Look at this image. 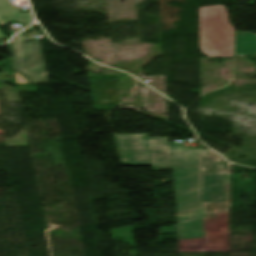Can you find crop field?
Instances as JSON below:
<instances>
[{"mask_svg":"<svg viewBox=\"0 0 256 256\" xmlns=\"http://www.w3.org/2000/svg\"><path fill=\"white\" fill-rule=\"evenodd\" d=\"M16 80L17 83H26L25 79H23L21 76H19L18 74L16 75Z\"/></svg>","mask_w":256,"mask_h":256,"instance_id":"obj_9","label":"crop field"},{"mask_svg":"<svg viewBox=\"0 0 256 256\" xmlns=\"http://www.w3.org/2000/svg\"><path fill=\"white\" fill-rule=\"evenodd\" d=\"M3 37H5V36L3 35L2 29L0 28V39L3 38Z\"/></svg>","mask_w":256,"mask_h":256,"instance_id":"obj_10","label":"crop field"},{"mask_svg":"<svg viewBox=\"0 0 256 256\" xmlns=\"http://www.w3.org/2000/svg\"><path fill=\"white\" fill-rule=\"evenodd\" d=\"M0 15L1 17L26 25L33 23L31 13H20L13 5H11L9 0H0Z\"/></svg>","mask_w":256,"mask_h":256,"instance_id":"obj_6","label":"crop field"},{"mask_svg":"<svg viewBox=\"0 0 256 256\" xmlns=\"http://www.w3.org/2000/svg\"><path fill=\"white\" fill-rule=\"evenodd\" d=\"M206 238L229 237V203L204 204Z\"/></svg>","mask_w":256,"mask_h":256,"instance_id":"obj_4","label":"crop field"},{"mask_svg":"<svg viewBox=\"0 0 256 256\" xmlns=\"http://www.w3.org/2000/svg\"><path fill=\"white\" fill-rule=\"evenodd\" d=\"M93 100L97 104L118 103L115 80L90 81Z\"/></svg>","mask_w":256,"mask_h":256,"instance_id":"obj_5","label":"crop field"},{"mask_svg":"<svg viewBox=\"0 0 256 256\" xmlns=\"http://www.w3.org/2000/svg\"><path fill=\"white\" fill-rule=\"evenodd\" d=\"M200 47L208 57H234L235 31L223 5L199 8Z\"/></svg>","mask_w":256,"mask_h":256,"instance_id":"obj_2","label":"crop field"},{"mask_svg":"<svg viewBox=\"0 0 256 256\" xmlns=\"http://www.w3.org/2000/svg\"><path fill=\"white\" fill-rule=\"evenodd\" d=\"M10 22V20L4 19V18H0V25L2 27H4L5 25H7Z\"/></svg>","mask_w":256,"mask_h":256,"instance_id":"obj_8","label":"crop field"},{"mask_svg":"<svg viewBox=\"0 0 256 256\" xmlns=\"http://www.w3.org/2000/svg\"><path fill=\"white\" fill-rule=\"evenodd\" d=\"M256 53V35L241 33L236 35L235 54L238 56Z\"/></svg>","mask_w":256,"mask_h":256,"instance_id":"obj_7","label":"crop field"},{"mask_svg":"<svg viewBox=\"0 0 256 256\" xmlns=\"http://www.w3.org/2000/svg\"><path fill=\"white\" fill-rule=\"evenodd\" d=\"M124 166L173 167L179 239L205 238L203 203L230 202V167L210 150L170 145L148 134L115 135Z\"/></svg>","mask_w":256,"mask_h":256,"instance_id":"obj_1","label":"crop field"},{"mask_svg":"<svg viewBox=\"0 0 256 256\" xmlns=\"http://www.w3.org/2000/svg\"><path fill=\"white\" fill-rule=\"evenodd\" d=\"M15 71L29 83L49 82L41 42H24L20 33L9 45Z\"/></svg>","mask_w":256,"mask_h":256,"instance_id":"obj_3","label":"crop field"}]
</instances>
